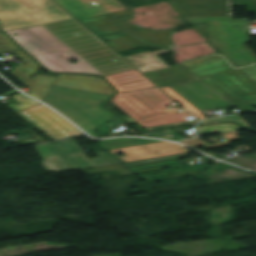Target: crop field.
Masks as SVG:
<instances>
[{"label": "crop field", "mask_w": 256, "mask_h": 256, "mask_svg": "<svg viewBox=\"0 0 256 256\" xmlns=\"http://www.w3.org/2000/svg\"><path fill=\"white\" fill-rule=\"evenodd\" d=\"M105 78L119 92H124L115 104L144 128L185 122V117L190 116L186 112L160 109L173 100L135 69Z\"/></svg>", "instance_id": "crop-field-1"}, {"label": "crop field", "mask_w": 256, "mask_h": 256, "mask_svg": "<svg viewBox=\"0 0 256 256\" xmlns=\"http://www.w3.org/2000/svg\"><path fill=\"white\" fill-rule=\"evenodd\" d=\"M12 33H17L18 36H13ZM6 34L51 72L85 73L103 76L42 26L7 32ZM39 51L43 53H39ZM71 57L78 62L72 64L66 61Z\"/></svg>", "instance_id": "crop-field-2"}, {"label": "crop field", "mask_w": 256, "mask_h": 256, "mask_svg": "<svg viewBox=\"0 0 256 256\" xmlns=\"http://www.w3.org/2000/svg\"><path fill=\"white\" fill-rule=\"evenodd\" d=\"M110 98V95L53 85L45 103L67 116L90 135L99 137L93 130L117 117L105 107Z\"/></svg>", "instance_id": "crop-field-3"}, {"label": "crop field", "mask_w": 256, "mask_h": 256, "mask_svg": "<svg viewBox=\"0 0 256 256\" xmlns=\"http://www.w3.org/2000/svg\"><path fill=\"white\" fill-rule=\"evenodd\" d=\"M13 50L26 64L13 69L10 74L32 92L44 99L53 84L113 95L112 89L101 77L60 74L59 78L33 73L40 68L28 55L0 34V52ZM33 74L31 79L28 75Z\"/></svg>", "instance_id": "crop-field-4"}, {"label": "crop field", "mask_w": 256, "mask_h": 256, "mask_svg": "<svg viewBox=\"0 0 256 256\" xmlns=\"http://www.w3.org/2000/svg\"><path fill=\"white\" fill-rule=\"evenodd\" d=\"M189 23L207 22L211 43L236 67L256 63V59L243 46L247 41L246 20L231 17H183ZM236 26V28H234Z\"/></svg>", "instance_id": "crop-field-5"}, {"label": "crop field", "mask_w": 256, "mask_h": 256, "mask_svg": "<svg viewBox=\"0 0 256 256\" xmlns=\"http://www.w3.org/2000/svg\"><path fill=\"white\" fill-rule=\"evenodd\" d=\"M49 0H0L4 31L69 18Z\"/></svg>", "instance_id": "crop-field-6"}, {"label": "crop field", "mask_w": 256, "mask_h": 256, "mask_svg": "<svg viewBox=\"0 0 256 256\" xmlns=\"http://www.w3.org/2000/svg\"><path fill=\"white\" fill-rule=\"evenodd\" d=\"M17 114L39 131L47 134L52 140L85 135L70 122L42 104L37 107L17 112Z\"/></svg>", "instance_id": "crop-field-7"}, {"label": "crop field", "mask_w": 256, "mask_h": 256, "mask_svg": "<svg viewBox=\"0 0 256 256\" xmlns=\"http://www.w3.org/2000/svg\"><path fill=\"white\" fill-rule=\"evenodd\" d=\"M170 88L199 110L231 105L199 80Z\"/></svg>", "instance_id": "crop-field-8"}, {"label": "crop field", "mask_w": 256, "mask_h": 256, "mask_svg": "<svg viewBox=\"0 0 256 256\" xmlns=\"http://www.w3.org/2000/svg\"><path fill=\"white\" fill-rule=\"evenodd\" d=\"M101 157L94 158L90 161L87 160L85 154L52 159L42 161V165L46 168L47 171L56 170L57 172L67 171V170H74V169H81V168H88V167H95L107 164H116L122 163L116 157L111 155L109 152H100L97 153Z\"/></svg>", "instance_id": "crop-field-9"}, {"label": "crop field", "mask_w": 256, "mask_h": 256, "mask_svg": "<svg viewBox=\"0 0 256 256\" xmlns=\"http://www.w3.org/2000/svg\"><path fill=\"white\" fill-rule=\"evenodd\" d=\"M78 20L126 10L120 4L109 3L94 7L88 0H54Z\"/></svg>", "instance_id": "crop-field-10"}, {"label": "crop field", "mask_w": 256, "mask_h": 256, "mask_svg": "<svg viewBox=\"0 0 256 256\" xmlns=\"http://www.w3.org/2000/svg\"><path fill=\"white\" fill-rule=\"evenodd\" d=\"M35 148L43 160L83 153L74 140L38 145Z\"/></svg>", "instance_id": "crop-field-11"}, {"label": "crop field", "mask_w": 256, "mask_h": 256, "mask_svg": "<svg viewBox=\"0 0 256 256\" xmlns=\"http://www.w3.org/2000/svg\"><path fill=\"white\" fill-rule=\"evenodd\" d=\"M169 51L161 50L158 52H146L136 55L125 56L132 65H134L142 73L168 68L169 66L162 61L157 55Z\"/></svg>", "instance_id": "crop-field-12"}, {"label": "crop field", "mask_w": 256, "mask_h": 256, "mask_svg": "<svg viewBox=\"0 0 256 256\" xmlns=\"http://www.w3.org/2000/svg\"><path fill=\"white\" fill-rule=\"evenodd\" d=\"M12 98H14L17 102L22 104L20 106L14 104V103H11L8 105V107L11 108L15 112L41 104V103H39L31 98H28L22 94L13 96Z\"/></svg>", "instance_id": "crop-field-13"}, {"label": "crop field", "mask_w": 256, "mask_h": 256, "mask_svg": "<svg viewBox=\"0 0 256 256\" xmlns=\"http://www.w3.org/2000/svg\"><path fill=\"white\" fill-rule=\"evenodd\" d=\"M140 136L164 138V139L173 140V141L184 139L182 136L176 134L170 128L163 129V130H158V131H153V132H149V133H144V134H141Z\"/></svg>", "instance_id": "crop-field-14"}, {"label": "crop field", "mask_w": 256, "mask_h": 256, "mask_svg": "<svg viewBox=\"0 0 256 256\" xmlns=\"http://www.w3.org/2000/svg\"><path fill=\"white\" fill-rule=\"evenodd\" d=\"M164 91L169 93L171 96H173L175 99H177L180 103H182L188 110H190L195 116H197L199 119L204 118L201 116V112L195 109L193 106H191L189 103H187L185 100H183L181 97H179L175 92H173L169 87L162 88ZM176 100V101H177ZM181 104V105H182Z\"/></svg>", "instance_id": "crop-field-15"}, {"label": "crop field", "mask_w": 256, "mask_h": 256, "mask_svg": "<svg viewBox=\"0 0 256 256\" xmlns=\"http://www.w3.org/2000/svg\"><path fill=\"white\" fill-rule=\"evenodd\" d=\"M224 121H235L244 127H247L248 125L238 116H229V117H223V118H217V119H211V120H205L201 121V124H207V123H215V122H224Z\"/></svg>", "instance_id": "crop-field-16"}, {"label": "crop field", "mask_w": 256, "mask_h": 256, "mask_svg": "<svg viewBox=\"0 0 256 256\" xmlns=\"http://www.w3.org/2000/svg\"><path fill=\"white\" fill-rule=\"evenodd\" d=\"M205 129V134H214V133H222V132H228V131H235V130H240L238 127L234 126H217V127H208L204 128Z\"/></svg>", "instance_id": "crop-field-17"}, {"label": "crop field", "mask_w": 256, "mask_h": 256, "mask_svg": "<svg viewBox=\"0 0 256 256\" xmlns=\"http://www.w3.org/2000/svg\"><path fill=\"white\" fill-rule=\"evenodd\" d=\"M89 1L92 3V5H95V6L109 3V2L119 3L116 0H89Z\"/></svg>", "instance_id": "crop-field-18"}, {"label": "crop field", "mask_w": 256, "mask_h": 256, "mask_svg": "<svg viewBox=\"0 0 256 256\" xmlns=\"http://www.w3.org/2000/svg\"><path fill=\"white\" fill-rule=\"evenodd\" d=\"M194 123H196V121L186 122V123H180V124H174V125H168V126H176V125H181V124H194ZM163 127H167V126L155 127V128H148V129H146V130L151 131V130H155V129H159V128H163Z\"/></svg>", "instance_id": "crop-field-19"}, {"label": "crop field", "mask_w": 256, "mask_h": 256, "mask_svg": "<svg viewBox=\"0 0 256 256\" xmlns=\"http://www.w3.org/2000/svg\"><path fill=\"white\" fill-rule=\"evenodd\" d=\"M227 124H231V125L237 126L236 124H232V123L218 124V125H227ZM211 126H216V125H211ZM204 127H207V126L199 127V133H200L201 135H204V130H203ZM240 128H241V127H240ZM241 129H242V128H241Z\"/></svg>", "instance_id": "crop-field-20"}, {"label": "crop field", "mask_w": 256, "mask_h": 256, "mask_svg": "<svg viewBox=\"0 0 256 256\" xmlns=\"http://www.w3.org/2000/svg\"><path fill=\"white\" fill-rule=\"evenodd\" d=\"M28 94L31 95L32 97H34V98H36V99H38V100L44 102L42 99H40V98H39L38 96H36L34 93L30 92V93H28Z\"/></svg>", "instance_id": "crop-field-21"}, {"label": "crop field", "mask_w": 256, "mask_h": 256, "mask_svg": "<svg viewBox=\"0 0 256 256\" xmlns=\"http://www.w3.org/2000/svg\"><path fill=\"white\" fill-rule=\"evenodd\" d=\"M16 92H18V91L14 89V90H12V91H10V92L4 94V95L9 96V95H11V94H13V93H16Z\"/></svg>", "instance_id": "crop-field-22"}, {"label": "crop field", "mask_w": 256, "mask_h": 256, "mask_svg": "<svg viewBox=\"0 0 256 256\" xmlns=\"http://www.w3.org/2000/svg\"><path fill=\"white\" fill-rule=\"evenodd\" d=\"M122 93H118L117 96L114 98V100L112 102H116V100L121 96Z\"/></svg>", "instance_id": "crop-field-23"}]
</instances>
